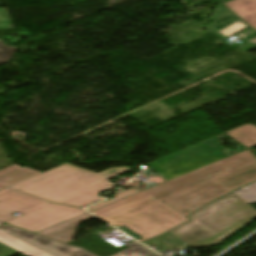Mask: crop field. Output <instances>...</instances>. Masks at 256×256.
<instances>
[{"label": "crop field", "mask_w": 256, "mask_h": 256, "mask_svg": "<svg viewBox=\"0 0 256 256\" xmlns=\"http://www.w3.org/2000/svg\"><path fill=\"white\" fill-rule=\"evenodd\" d=\"M2 223H0V225H1Z\"/></svg>", "instance_id": "obj_21"}, {"label": "crop field", "mask_w": 256, "mask_h": 256, "mask_svg": "<svg viewBox=\"0 0 256 256\" xmlns=\"http://www.w3.org/2000/svg\"><path fill=\"white\" fill-rule=\"evenodd\" d=\"M234 193L249 204L256 203V183L244 187Z\"/></svg>", "instance_id": "obj_14"}, {"label": "crop field", "mask_w": 256, "mask_h": 256, "mask_svg": "<svg viewBox=\"0 0 256 256\" xmlns=\"http://www.w3.org/2000/svg\"><path fill=\"white\" fill-rule=\"evenodd\" d=\"M48 204L47 201L5 188L0 191V222L16 218L11 215L15 212L24 214Z\"/></svg>", "instance_id": "obj_7"}, {"label": "crop field", "mask_w": 256, "mask_h": 256, "mask_svg": "<svg viewBox=\"0 0 256 256\" xmlns=\"http://www.w3.org/2000/svg\"><path fill=\"white\" fill-rule=\"evenodd\" d=\"M231 191L256 180V164L217 179Z\"/></svg>", "instance_id": "obj_9"}, {"label": "crop field", "mask_w": 256, "mask_h": 256, "mask_svg": "<svg viewBox=\"0 0 256 256\" xmlns=\"http://www.w3.org/2000/svg\"><path fill=\"white\" fill-rule=\"evenodd\" d=\"M230 137L250 148L256 145V127L244 125L226 132Z\"/></svg>", "instance_id": "obj_13"}, {"label": "crop field", "mask_w": 256, "mask_h": 256, "mask_svg": "<svg viewBox=\"0 0 256 256\" xmlns=\"http://www.w3.org/2000/svg\"><path fill=\"white\" fill-rule=\"evenodd\" d=\"M0 242L27 256H52L0 230Z\"/></svg>", "instance_id": "obj_12"}, {"label": "crop field", "mask_w": 256, "mask_h": 256, "mask_svg": "<svg viewBox=\"0 0 256 256\" xmlns=\"http://www.w3.org/2000/svg\"><path fill=\"white\" fill-rule=\"evenodd\" d=\"M216 138L189 147L179 153L158 160L150 166L158 171L166 180L182 173L227 156Z\"/></svg>", "instance_id": "obj_4"}, {"label": "crop field", "mask_w": 256, "mask_h": 256, "mask_svg": "<svg viewBox=\"0 0 256 256\" xmlns=\"http://www.w3.org/2000/svg\"><path fill=\"white\" fill-rule=\"evenodd\" d=\"M38 173L40 172L28 168H21L15 164L11 165L5 169L0 170V189L10 186Z\"/></svg>", "instance_id": "obj_11"}, {"label": "crop field", "mask_w": 256, "mask_h": 256, "mask_svg": "<svg viewBox=\"0 0 256 256\" xmlns=\"http://www.w3.org/2000/svg\"><path fill=\"white\" fill-rule=\"evenodd\" d=\"M0 229L54 255V256H95L86 250H80L72 253L69 250L68 245H64L58 241L49 239L44 236L36 235L30 232H26L9 225L0 226ZM128 250L115 254L113 256H149L153 254L147 248L139 245L136 242H132L128 245Z\"/></svg>", "instance_id": "obj_5"}, {"label": "crop field", "mask_w": 256, "mask_h": 256, "mask_svg": "<svg viewBox=\"0 0 256 256\" xmlns=\"http://www.w3.org/2000/svg\"><path fill=\"white\" fill-rule=\"evenodd\" d=\"M153 256H158V255L155 254V255H153Z\"/></svg>", "instance_id": "obj_20"}, {"label": "crop field", "mask_w": 256, "mask_h": 256, "mask_svg": "<svg viewBox=\"0 0 256 256\" xmlns=\"http://www.w3.org/2000/svg\"><path fill=\"white\" fill-rule=\"evenodd\" d=\"M17 253L16 251L0 244V256H10Z\"/></svg>", "instance_id": "obj_18"}, {"label": "crop field", "mask_w": 256, "mask_h": 256, "mask_svg": "<svg viewBox=\"0 0 256 256\" xmlns=\"http://www.w3.org/2000/svg\"><path fill=\"white\" fill-rule=\"evenodd\" d=\"M227 1H230V0H221L220 3H224V2H227Z\"/></svg>", "instance_id": "obj_19"}, {"label": "crop field", "mask_w": 256, "mask_h": 256, "mask_svg": "<svg viewBox=\"0 0 256 256\" xmlns=\"http://www.w3.org/2000/svg\"><path fill=\"white\" fill-rule=\"evenodd\" d=\"M191 221L170 231L194 247L218 244L256 218V210L235 194L190 215Z\"/></svg>", "instance_id": "obj_3"}, {"label": "crop field", "mask_w": 256, "mask_h": 256, "mask_svg": "<svg viewBox=\"0 0 256 256\" xmlns=\"http://www.w3.org/2000/svg\"><path fill=\"white\" fill-rule=\"evenodd\" d=\"M254 163L247 150L91 212L113 226L129 228L143 242L188 221L186 216L230 192L215 179Z\"/></svg>", "instance_id": "obj_1"}, {"label": "crop field", "mask_w": 256, "mask_h": 256, "mask_svg": "<svg viewBox=\"0 0 256 256\" xmlns=\"http://www.w3.org/2000/svg\"><path fill=\"white\" fill-rule=\"evenodd\" d=\"M91 217L93 216L89 213H86L63 224L38 232L37 234L50 237L66 244L72 240L78 223Z\"/></svg>", "instance_id": "obj_8"}, {"label": "crop field", "mask_w": 256, "mask_h": 256, "mask_svg": "<svg viewBox=\"0 0 256 256\" xmlns=\"http://www.w3.org/2000/svg\"><path fill=\"white\" fill-rule=\"evenodd\" d=\"M10 23L6 9H0V30L8 29Z\"/></svg>", "instance_id": "obj_17"}, {"label": "crop field", "mask_w": 256, "mask_h": 256, "mask_svg": "<svg viewBox=\"0 0 256 256\" xmlns=\"http://www.w3.org/2000/svg\"><path fill=\"white\" fill-rule=\"evenodd\" d=\"M130 170L119 167L95 173L66 163L10 187L51 202L83 207L100 200L98 193L116 186L108 181L110 177Z\"/></svg>", "instance_id": "obj_2"}, {"label": "crop field", "mask_w": 256, "mask_h": 256, "mask_svg": "<svg viewBox=\"0 0 256 256\" xmlns=\"http://www.w3.org/2000/svg\"><path fill=\"white\" fill-rule=\"evenodd\" d=\"M224 5L256 29V0H233Z\"/></svg>", "instance_id": "obj_10"}, {"label": "crop field", "mask_w": 256, "mask_h": 256, "mask_svg": "<svg viewBox=\"0 0 256 256\" xmlns=\"http://www.w3.org/2000/svg\"><path fill=\"white\" fill-rule=\"evenodd\" d=\"M84 213L86 212L78 208L50 204L6 223L38 232Z\"/></svg>", "instance_id": "obj_6"}, {"label": "crop field", "mask_w": 256, "mask_h": 256, "mask_svg": "<svg viewBox=\"0 0 256 256\" xmlns=\"http://www.w3.org/2000/svg\"><path fill=\"white\" fill-rule=\"evenodd\" d=\"M137 192H139V191L136 190V189H134V188L124 190V191H122V192H119V193L115 194V198H114L113 201H108V200H106V201H104V202H102V203H99V204H97V205H95V206H92V207H90V208H87V210H88V211H91V210L98 209V208H100V207H103V206H105V205H107V204H110V203H112V202H115V201H117V200H120V199H122V198H125V197H127V196H129V195H132V194H134V193H137Z\"/></svg>", "instance_id": "obj_15"}, {"label": "crop field", "mask_w": 256, "mask_h": 256, "mask_svg": "<svg viewBox=\"0 0 256 256\" xmlns=\"http://www.w3.org/2000/svg\"><path fill=\"white\" fill-rule=\"evenodd\" d=\"M13 50L14 47L5 45L3 41H0V64L5 63V61L10 56Z\"/></svg>", "instance_id": "obj_16"}]
</instances>
